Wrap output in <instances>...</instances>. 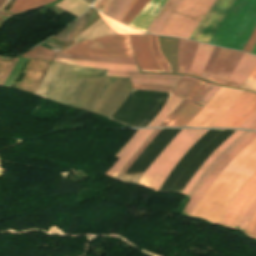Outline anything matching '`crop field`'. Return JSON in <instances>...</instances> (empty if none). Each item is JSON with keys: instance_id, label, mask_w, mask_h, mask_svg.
Returning <instances> with one entry per match:
<instances>
[{"instance_id": "27", "label": "crop field", "mask_w": 256, "mask_h": 256, "mask_svg": "<svg viewBox=\"0 0 256 256\" xmlns=\"http://www.w3.org/2000/svg\"><path fill=\"white\" fill-rule=\"evenodd\" d=\"M54 0H15L14 4L9 10V13H19L37 6L50 3Z\"/></svg>"}, {"instance_id": "35", "label": "crop field", "mask_w": 256, "mask_h": 256, "mask_svg": "<svg viewBox=\"0 0 256 256\" xmlns=\"http://www.w3.org/2000/svg\"><path fill=\"white\" fill-rule=\"evenodd\" d=\"M84 16V15H83ZM83 16H81L79 19H77L74 23H72L68 28H66L64 31H62L60 34L56 36V38H59L61 40L67 41L69 38L70 33L79 25V23L82 21Z\"/></svg>"}, {"instance_id": "23", "label": "crop field", "mask_w": 256, "mask_h": 256, "mask_svg": "<svg viewBox=\"0 0 256 256\" xmlns=\"http://www.w3.org/2000/svg\"><path fill=\"white\" fill-rule=\"evenodd\" d=\"M179 1L180 0H168L147 32L152 34H159L163 25L174 11Z\"/></svg>"}, {"instance_id": "22", "label": "crop field", "mask_w": 256, "mask_h": 256, "mask_svg": "<svg viewBox=\"0 0 256 256\" xmlns=\"http://www.w3.org/2000/svg\"><path fill=\"white\" fill-rule=\"evenodd\" d=\"M138 0H113L104 14L118 20L122 18L133 8Z\"/></svg>"}, {"instance_id": "36", "label": "crop field", "mask_w": 256, "mask_h": 256, "mask_svg": "<svg viewBox=\"0 0 256 256\" xmlns=\"http://www.w3.org/2000/svg\"><path fill=\"white\" fill-rule=\"evenodd\" d=\"M241 88L256 91V66Z\"/></svg>"}, {"instance_id": "1", "label": "crop field", "mask_w": 256, "mask_h": 256, "mask_svg": "<svg viewBox=\"0 0 256 256\" xmlns=\"http://www.w3.org/2000/svg\"><path fill=\"white\" fill-rule=\"evenodd\" d=\"M105 72L52 62L35 94L109 118L132 88Z\"/></svg>"}, {"instance_id": "5", "label": "crop field", "mask_w": 256, "mask_h": 256, "mask_svg": "<svg viewBox=\"0 0 256 256\" xmlns=\"http://www.w3.org/2000/svg\"><path fill=\"white\" fill-rule=\"evenodd\" d=\"M215 0H181L160 35L189 39Z\"/></svg>"}, {"instance_id": "43", "label": "crop field", "mask_w": 256, "mask_h": 256, "mask_svg": "<svg viewBox=\"0 0 256 256\" xmlns=\"http://www.w3.org/2000/svg\"><path fill=\"white\" fill-rule=\"evenodd\" d=\"M213 86V84L207 83L204 88L199 92V94L194 98L192 102L198 103L199 100L204 96V94Z\"/></svg>"}, {"instance_id": "2", "label": "crop field", "mask_w": 256, "mask_h": 256, "mask_svg": "<svg viewBox=\"0 0 256 256\" xmlns=\"http://www.w3.org/2000/svg\"><path fill=\"white\" fill-rule=\"evenodd\" d=\"M255 171L256 139L245 147L211 184L191 217L216 224L222 210Z\"/></svg>"}, {"instance_id": "50", "label": "crop field", "mask_w": 256, "mask_h": 256, "mask_svg": "<svg viewBox=\"0 0 256 256\" xmlns=\"http://www.w3.org/2000/svg\"><path fill=\"white\" fill-rule=\"evenodd\" d=\"M86 3H88L90 5V3L92 2V0H84Z\"/></svg>"}, {"instance_id": "32", "label": "crop field", "mask_w": 256, "mask_h": 256, "mask_svg": "<svg viewBox=\"0 0 256 256\" xmlns=\"http://www.w3.org/2000/svg\"><path fill=\"white\" fill-rule=\"evenodd\" d=\"M256 213V200L251 204V206L247 209L243 217L240 219L239 223L235 227L237 230H241L244 232L247 227L250 219Z\"/></svg>"}, {"instance_id": "8", "label": "crop field", "mask_w": 256, "mask_h": 256, "mask_svg": "<svg viewBox=\"0 0 256 256\" xmlns=\"http://www.w3.org/2000/svg\"><path fill=\"white\" fill-rule=\"evenodd\" d=\"M256 198V172L240 188L222 212L218 225L234 229L242 214Z\"/></svg>"}, {"instance_id": "37", "label": "crop field", "mask_w": 256, "mask_h": 256, "mask_svg": "<svg viewBox=\"0 0 256 256\" xmlns=\"http://www.w3.org/2000/svg\"><path fill=\"white\" fill-rule=\"evenodd\" d=\"M133 89H146V90H163L172 91V87L156 86V85H146V84H131Z\"/></svg>"}, {"instance_id": "3", "label": "crop field", "mask_w": 256, "mask_h": 256, "mask_svg": "<svg viewBox=\"0 0 256 256\" xmlns=\"http://www.w3.org/2000/svg\"><path fill=\"white\" fill-rule=\"evenodd\" d=\"M256 27V0H236L210 44L243 50Z\"/></svg>"}, {"instance_id": "45", "label": "crop field", "mask_w": 256, "mask_h": 256, "mask_svg": "<svg viewBox=\"0 0 256 256\" xmlns=\"http://www.w3.org/2000/svg\"><path fill=\"white\" fill-rule=\"evenodd\" d=\"M255 120H256V112L240 128L248 129Z\"/></svg>"}, {"instance_id": "4", "label": "crop field", "mask_w": 256, "mask_h": 256, "mask_svg": "<svg viewBox=\"0 0 256 256\" xmlns=\"http://www.w3.org/2000/svg\"><path fill=\"white\" fill-rule=\"evenodd\" d=\"M207 131L182 129L146 170L138 184L157 191L180 158Z\"/></svg>"}, {"instance_id": "16", "label": "crop field", "mask_w": 256, "mask_h": 256, "mask_svg": "<svg viewBox=\"0 0 256 256\" xmlns=\"http://www.w3.org/2000/svg\"><path fill=\"white\" fill-rule=\"evenodd\" d=\"M54 61H58L66 64L78 65V66L108 69L106 75H113V76L128 77V71L139 72L137 66L135 65L103 64V63H93V62H86V61L62 60V59H55Z\"/></svg>"}, {"instance_id": "42", "label": "crop field", "mask_w": 256, "mask_h": 256, "mask_svg": "<svg viewBox=\"0 0 256 256\" xmlns=\"http://www.w3.org/2000/svg\"><path fill=\"white\" fill-rule=\"evenodd\" d=\"M255 43H256V29H255L254 33L252 34V36H251L249 42L247 43V45H246L244 51L251 53V51H252V49H253ZM242 51H243V50H242Z\"/></svg>"}, {"instance_id": "9", "label": "crop field", "mask_w": 256, "mask_h": 256, "mask_svg": "<svg viewBox=\"0 0 256 256\" xmlns=\"http://www.w3.org/2000/svg\"><path fill=\"white\" fill-rule=\"evenodd\" d=\"M256 110V94L244 91L213 127L239 128Z\"/></svg>"}, {"instance_id": "29", "label": "crop field", "mask_w": 256, "mask_h": 256, "mask_svg": "<svg viewBox=\"0 0 256 256\" xmlns=\"http://www.w3.org/2000/svg\"><path fill=\"white\" fill-rule=\"evenodd\" d=\"M196 81L197 78L184 75L181 81L175 87L172 94L184 98L185 95L189 92V90L194 86Z\"/></svg>"}, {"instance_id": "34", "label": "crop field", "mask_w": 256, "mask_h": 256, "mask_svg": "<svg viewBox=\"0 0 256 256\" xmlns=\"http://www.w3.org/2000/svg\"><path fill=\"white\" fill-rule=\"evenodd\" d=\"M148 1L149 0H139L137 4L134 6V8L122 20V22L129 24L131 20L139 13V11L147 4Z\"/></svg>"}, {"instance_id": "30", "label": "crop field", "mask_w": 256, "mask_h": 256, "mask_svg": "<svg viewBox=\"0 0 256 256\" xmlns=\"http://www.w3.org/2000/svg\"><path fill=\"white\" fill-rule=\"evenodd\" d=\"M54 55H55V52H52V51L47 50L41 46H38V47L34 48L33 50L25 53L22 57L39 58V59L53 61Z\"/></svg>"}, {"instance_id": "52", "label": "crop field", "mask_w": 256, "mask_h": 256, "mask_svg": "<svg viewBox=\"0 0 256 256\" xmlns=\"http://www.w3.org/2000/svg\"><path fill=\"white\" fill-rule=\"evenodd\" d=\"M4 1H5V0H0V7L2 6V4H3Z\"/></svg>"}, {"instance_id": "25", "label": "crop field", "mask_w": 256, "mask_h": 256, "mask_svg": "<svg viewBox=\"0 0 256 256\" xmlns=\"http://www.w3.org/2000/svg\"><path fill=\"white\" fill-rule=\"evenodd\" d=\"M149 43H150L151 53L154 56L155 60L157 61L162 72L172 73L171 67H170L168 61L163 56V54L160 50L157 36L149 34Z\"/></svg>"}, {"instance_id": "10", "label": "crop field", "mask_w": 256, "mask_h": 256, "mask_svg": "<svg viewBox=\"0 0 256 256\" xmlns=\"http://www.w3.org/2000/svg\"><path fill=\"white\" fill-rule=\"evenodd\" d=\"M256 138V133L252 132L247 137H245L238 145H236L231 152L223 158L220 163L215 167V169L208 175V177L202 182L198 189L193 194L186 208L182 212L183 215L190 216L195 205L197 204L200 197L209 187V185L214 181V179L221 173V171L228 165V163L252 140Z\"/></svg>"}, {"instance_id": "46", "label": "crop field", "mask_w": 256, "mask_h": 256, "mask_svg": "<svg viewBox=\"0 0 256 256\" xmlns=\"http://www.w3.org/2000/svg\"><path fill=\"white\" fill-rule=\"evenodd\" d=\"M19 58H15L13 63L11 64L10 68L8 69L6 75L4 76L3 80L1 81L0 85L3 86L4 82L6 81L7 77L9 76L10 72L14 68L15 64L17 63Z\"/></svg>"}, {"instance_id": "18", "label": "crop field", "mask_w": 256, "mask_h": 256, "mask_svg": "<svg viewBox=\"0 0 256 256\" xmlns=\"http://www.w3.org/2000/svg\"><path fill=\"white\" fill-rule=\"evenodd\" d=\"M181 76L179 75H162V74H141L130 72L131 83H146L175 86Z\"/></svg>"}, {"instance_id": "31", "label": "crop field", "mask_w": 256, "mask_h": 256, "mask_svg": "<svg viewBox=\"0 0 256 256\" xmlns=\"http://www.w3.org/2000/svg\"><path fill=\"white\" fill-rule=\"evenodd\" d=\"M99 14L103 18V20L106 22V24L108 26H110L112 29H114L116 32H118L119 34H141V33H143V32H139L134 29H131L129 27H126V26L104 16L101 13H99Z\"/></svg>"}, {"instance_id": "21", "label": "crop field", "mask_w": 256, "mask_h": 256, "mask_svg": "<svg viewBox=\"0 0 256 256\" xmlns=\"http://www.w3.org/2000/svg\"><path fill=\"white\" fill-rule=\"evenodd\" d=\"M214 47L199 43L195 51L194 62L188 74L200 76Z\"/></svg>"}, {"instance_id": "24", "label": "crop field", "mask_w": 256, "mask_h": 256, "mask_svg": "<svg viewBox=\"0 0 256 256\" xmlns=\"http://www.w3.org/2000/svg\"><path fill=\"white\" fill-rule=\"evenodd\" d=\"M55 58L86 60V61H94V62H108V63H126V64L137 65L134 58H110V57H93V56H83V55H62V54H57Z\"/></svg>"}, {"instance_id": "19", "label": "crop field", "mask_w": 256, "mask_h": 256, "mask_svg": "<svg viewBox=\"0 0 256 256\" xmlns=\"http://www.w3.org/2000/svg\"><path fill=\"white\" fill-rule=\"evenodd\" d=\"M197 44V42L180 39L178 48V74L188 73L190 65L193 61L194 51L196 49Z\"/></svg>"}, {"instance_id": "40", "label": "crop field", "mask_w": 256, "mask_h": 256, "mask_svg": "<svg viewBox=\"0 0 256 256\" xmlns=\"http://www.w3.org/2000/svg\"><path fill=\"white\" fill-rule=\"evenodd\" d=\"M220 88V86L214 85L209 92L202 98V100L199 102V104L205 106L210 99L213 97V95L216 93V91Z\"/></svg>"}, {"instance_id": "49", "label": "crop field", "mask_w": 256, "mask_h": 256, "mask_svg": "<svg viewBox=\"0 0 256 256\" xmlns=\"http://www.w3.org/2000/svg\"><path fill=\"white\" fill-rule=\"evenodd\" d=\"M100 0H95L94 4H93V7L96 6V4L99 2Z\"/></svg>"}, {"instance_id": "51", "label": "crop field", "mask_w": 256, "mask_h": 256, "mask_svg": "<svg viewBox=\"0 0 256 256\" xmlns=\"http://www.w3.org/2000/svg\"><path fill=\"white\" fill-rule=\"evenodd\" d=\"M252 54H255V55H256V46H255V48H254Z\"/></svg>"}, {"instance_id": "17", "label": "crop field", "mask_w": 256, "mask_h": 256, "mask_svg": "<svg viewBox=\"0 0 256 256\" xmlns=\"http://www.w3.org/2000/svg\"><path fill=\"white\" fill-rule=\"evenodd\" d=\"M166 1L167 0H150L129 26L146 32L150 23L158 14Z\"/></svg>"}, {"instance_id": "48", "label": "crop field", "mask_w": 256, "mask_h": 256, "mask_svg": "<svg viewBox=\"0 0 256 256\" xmlns=\"http://www.w3.org/2000/svg\"><path fill=\"white\" fill-rule=\"evenodd\" d=\"M249 129H255L256 130V121L253 123V125Z\"/></svg>"}, {"instance_id": "38", "label": "crop field", "mask_w": 256, "mask_h": 256, "mask_svg": "<svg viewBox=\"0 0 256 256\" xmlns=\"http://www.w3.org/2000/svg\"><path fill=\"white\" fill-rule=\"evenodd\" d=\"M220 50H221V48H218V47L214 48V50L212 52V55H211L207 65H206L202 75H201V78H204V79L206 78V76H207V74H208V72H209L213 62L215 61L217 55L219 54Z\"/></svg>"}, {"instance_id": "7", "label": "crop field", "mask_w": 256, "mask_h": 256, "mask_svg": "<svg viewBox=\"0 0 256 256\" xmlns=\"http://www.w3.org/2000/svg\"><path fill=\"white\" fill-rule=\"evenodd\" d=\"M242 90L221 87L211 101L187 125L188 127H212L242 94Z\"/></svg>"}, {"instance_id": "14", "label": "crop field", "mask_w": 256, "mask_h": 256, "mask_svg": "<svg viewBox=\"0 0 256 256\" xmlns=\"http://www.w3.org/2000/svg\"><path fill=\"white\" fill-rule=\"evenodd\" d=\"M206 84L205 81L198 80L185 99L191 101L198 91ZM203 107L189 102L166 126L182 127L185 126Z\"/></svg>"}, {"instance_id": "12", "label": "crop field", "mask_w": 256, "mask_h": 256, "mask_svg": "<svg viewBox=\"0 0 256 256\" xmlns=\"http://www.w3.org/2000/svg\"><path fill=\"white\" fill-rule=\"evenodd\" d=\"M241 55L242 52L223 48L217 61L211 69L207 80L223 85L230 73L235 68Z\"/></svg>"}, {"instance_id": "47", "label": "crop field", "mask_w": 256, "mask_h": 256, "mask_svg": "<svg viewBox=\"0 0 256 256\" xmlns=\"http://www.w3.org/2000/svg\"><path fill=\"white\" fill-rule=\"evenodd\" d=\"M14 15L5 13L0 11V20L6 22L9 18L13 17Z\"/></svg>"}, {"instance_id": "6", "label": "crop field", "mask_w": 256, "mask_h": 256, "mask_svg": "<svg viewBox=\"0 0 256 256\" xmlns=\"http://www.w3.org/2000/svg\"><path fill=\"white\" fill-rule=\"evenodd\" d=\"M61 53L111 57H134L130 49L128 35L98 36L86 39Z\"/></svg>"}, {"instance_id": "33", "label": "crop field", "mask_w": 256, "mask_h": 256, "mask_svg": "<svg viewBox=\"0 0 256 256\" xmlns=\"http://www.w3.org/2000/svg\"><path fill=\"white\" fill-rule=\"evenodd\" d=\"M161 129H156L155 132L147 139V141L138 149V151L131 157V159L128 161V163L125 165V167L122 169V171L117 176L118 179H121L123 174L126 172V170L130 167V165L135 161V159L139 156V154L142 152V150L146 147V145L159 133Z\"/></svg>"}, {"instance_id": "13", "label": "crop field", "mask_w": 256, "mask_h": 256, "mask_svg": "<svg viewBox=\"0 0 256 256\" xmlns=\"http://www.w3.org/2000/svg\"><path fill=\"white\" fill-rule=\"evenodd\" d=\"M132 50L142 71L161 72L149 50L148 34L129 35Z\"/></svg>"}, {"instance_id": "28", "label": "crop field", "mask_w": 256, "mask_h": 256, "mask_svg": "<svg viewBox=\"0 0 256 256\" xmlns=\"http://www.w3.org/2000/svg\"><path fill=\"white\" fill-rule=\"evenodd\" d=\"M250 132L245 131L236 141H234L228 148L224 150V152L212 163V165L206 170V172L202 175V177L199 179V181L195 184V186L192 188L190 193L188 194L190 197L194 193V191L197 189V187L201 184V182L207 177V175L214 169V167L219 163V161L226 156L229 151L238 143L240 142L246 135H248ZM239 144V143H238ZM237 144V145H238Z\"/></svg>"}, {"instance_id": "11", "label": "crop field", "mask_w": 256, "mask_h": 256, "mask_svg": "<svg viewBox=\"0 0 256 256\" xmlns=\"http://www.w3.org/2000/svg\"><path fill=\"white\" fill-rule=\"evenodd\" d=\"M155 129H138L129 141L115 155L119 158L116 163L109 169L106 175L116 177L130 157L146 141Z\"/></svg>"}, {"instance_id": "15", "label": "crop field", "mask_w": 256, "mask_h": 256, "mask_svg": "<svg viewBox=\"0 0 256 256\" xmlns=\"http://www.w3.org/2000/svg\"><path fill=\"white\" fill-rule=\"evenodd\" d=\"M256 64V57L243 53L225 86L240 88Z\"/></svg>"}, {"instance_id": "39", "label": "crop field", "mask_w": 256, "mask_h": 256, "mask_svg": "<svg viewBox=\"0 0 256 256\" xmlns=\"http://www.w3.org/2000/svg\"><path fill=\"white\" fill-rule=\"evenodd\" d=\"M244 234L256 240V214L252 218Z\"/></svg>"}, {"instance_id": "26", "label": "crop field", "mask_w": 256, "mask_h": 256, "mask_svg": "<svg viewBox=\"0 0 256 256\" xmlns=\"http://www.w3.org/2000/svg\"><path fill=\"white\" fill-rule=\"evenodd\" d=\"M181 100L182 98L170 95L169 99L167 100L161 111L157 114V116L150 122V124L147 127H158Z\"/></svg>"}, {"instance_id": "20", "label": "crop field", "mask_w": 256, "mask_h": 256, "mask_svg": "<svg viewBox=\"0 0 256 256\" xmlns=\"http://www.w3.org/2000/svg\"><path fill=\"white\" fill-rule=\"evenodd\" d=\"M244 131H236L233 135H231L217 150H215L211 156L208 158V160L200 167V169L197 171V173L194 175L192 180L189 182V184L186 186V188L183 190L182 194L187 195L191 188L194 186V184L198 181V179L201 177V175L205 172V170L209 167V165L212 163V161L218 157L222 151L229 146L235 139H237Z\"/></svg>"}, {"instance_id": "44", "label": "crop field", "mask_w": 256, "mask_h": 256, "mask_svg": "<svg viewBox=\"0 0 256 256\" xmlns=\"http://www.w3.org/2000/svg\"><path fill=\"white\" fill-rule=\"evenodd\" d=\"M111 1L112 0H101L95 8L103 13L107 6L111 3Z\"/></svg>"}, {"instance_id": "41", "label": "crop field", "mask_w": 256, "mask_h": 256, "mask_svg": "<svg viewBox=\"0 0 256 256\" xmlns=\"http://www.w3.org/2000/svg\"><path fill=\"white\" fill-rule=\"evenodd\" d=\"M188 101L182 100L179 105L172 111V113L163 121V123L159 126H165L178 112L179 110L187 103Z\"/></svg>"}]
</instances>
